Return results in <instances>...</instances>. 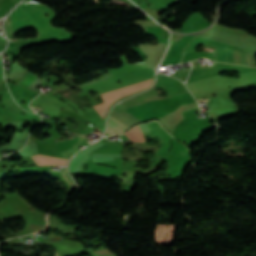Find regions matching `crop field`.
Instances as JSON below:
<instances>
[{"mask_svg":"<svg viewBox=\"0 0 256 256\" xmlns=\"http://www.w3.org/2000/svg\"><path fill=\"white\" fill-rule=\"evenodd\" d=\"M166 48H164L162 45L158 44L156 46L151 45H143L140 44V48H134V51L139 53L141 57L147 55V59H145V62L147 65L151 68H156L158 63L160 62L161 58L163 57L165 53Z\"/></svg>","mask_w":256,"mask_h":256,"instance_id":"1","label":"crop field"},{"mask_svg":"<svg viewBox=\"0 0 256 256\" xmlns=\"http://www.w3.org/2000/svg\"><path fill=\"white\" fill-rule=\"evenodd\" d=\"M152 83V80L151 81H148V82H144V83H141V84H138V85H135V86H131V87H128V88H125V89H122V90H118V91H115V92H112V91H109V92H112V93H109V92H106V93H109V94H105V93H102V94H105V95H102L101 97L104 98V97H107V96H111V95H114V94H117V93H121V92H124V91H127V90H131V89H134V88H137V87H141V86H144V85H147V84H151ZM150 86V85H148ZM148 86H144V87H141V88H138V89H134V90H131V91H128V92H124V93H121V94H118V95H114V96H111V97H108V98H104L103 100L105 101L104 103H102L101 105H98V106H95L94 108L99 111L102 115H104V113L106 112L107 108L110 106V104L119 99L120 97L126 95V94H129V93H132L134 91H137L139 89H142V88H145V87H148Z\"/></svg>","mask_w":256,"mask_h":256,"instance_id":"2","label":"crop field"},{"mask_svg":"<svg viewBox=\"0 0 256 256\" xmlns=\"http://www.w3.org/2000/svg\"><path fill=\"white\" fill-rule=\"evenodd\" d=\"M216 51H217V61L234 64L233 52L231 49H227V48L216 45ZM211 59L216 61L215 51Z\"/></svg>","mask_w":256,"mask_h":256,"instance_id":"3","label":"crop field"},{"mask_svg":"<svg viewBox=\"0 0 256 256\" xmlns=\"http://www.w3.org/2000/svg\"><path fill=\"white\" fill-rule=\"evenodd\" d=\"M33 158L39 165H63L66 166V159L48 157V156H41V155H33Z\"/></svg>","mask_w":256,"mask_h":256,"instance_id":"4","label":"crop field"},{"mask_svg":"<svg viewBox=\"0 0 256 256\" xmlns=\"http://www.w3.org/2000/svg\"><path fill=\"white\" fill-rule=\"evenodd\" d=\"M128 129L124 124L118 122L117 120L113 119L112 117L109 118V122H107V129L106 132L111 134H122L125 130Z\"/></svg>","mask_w":256,"mask_h":256,"instance_id":"5","label":"crop field"},{"mask_svg":"<svg viewBox=\"0 0 256 256\" xmlns=\"http://www.w3.org/2000/svg\"><path fill=\"white\" fill-rule=\"evenodd\" d=\"M137 138L138 141H144L143 135L141 133V130L138 126L134 127L132 130H130ZM125 133L132 141H136L134 135L131 132Z\"/></svg>","mask_w":256,"mask_h":256,"instance_id":"6","label":"crop field"},{"mask_svg":"<svg viewBox=\"0 0 256 256\" xmlns=\"http://www.w3.org/2000/svg\"><path fill=\"white\" fill-rule=\"evenodd\" d=\"M91 157L89 155L84 156L80 162L78 163V165L76 166L75 172L74 173H79V171L81 170V167L90 159Z\"/></svg>","mask_w":256,"mask_h":256,"instance_id":"7","label":"crop field"}]
</instances>
